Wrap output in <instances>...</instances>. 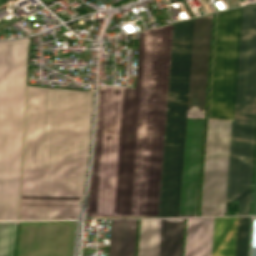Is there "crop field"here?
I'll use <instances>...</instances> for the list:
<instances>
[{"mask_svg": "<svg viewBox=\"0 0 256 256\" xmlns=\"http://www.w3.org/2000/svg\"><path fill=\"white\" fill-rule=\"evenodd\" d=\"M173 24L139 32L135 88L99 86L85 217L158 215Z\"/></svg>", "mask_w": 256, "mask_h": 256, "instance_id": "obj_1", "label": "crop field"}, {"mask_svg": "<svg viewBox=\"0 0 256 256\" xmlns=\"http://www.w3.org/2000/svg\"><path fill=\"white\" fill-rule=\"evenodd\" d=\"M242 7L217 13L209 117L233 119ZM231 121L208 120L201 216L224 215ZM256 133V4L243 7L225 215H249Z\"/></svg>", "mask_w": 256, "mask_h": 256, "instance_id": "obj_2", "label": "crop field"}, {"mask_svg": "<svg viewBox=\"0 0 256 256\" xmlns=\"http://www.w3.org/2000/svg\"><path fill=\"white\" fill-rule=\"evenodd\" d=\"M92 104L93 92L27 86L19 220L76 219Z\"/></svg>", "mask_w": 256, "mask_h": 256, "instance_id": "obj_3", "label": "crop field"}, {"mask_svg": "<svg viewBox=\"0 0 256 256\" xmlns=\"http://www.w3.org/2000/svg\"><path fill=\"white\" fill-rule=\"evenodd\" d=\"M212 15L176 24L165 135L159 217H178L186 111L203 118ZM187 118L179 217L196 216L203 119Z\"/></svg>", "mask_w": 256, "mask_h": 256, "instance_id": "obj_4", "label": "crop field"}, {"mask_svg": "<svg viewBox=\"0 0 256 256\" xmlns=\"http://www.w3.org/2000/svg\"><path fill=\"white\" fill-rule=\"evenodd\" d=\"M29 43H0V220H17Z\"/></svg>", "mask_w": 256, "mask_h": 256, "instance_id": "obj_5", "label": "crop field"}, {"mask_svg": "<svg viewBox=\"0 0 256 256\" xmlns=\"http://www.w3.org/2000/svg\"><path fill=\"white\" fill-rule=\"evenodd\" d=\"M238 217L190 218L187 256H235Z\"/></svg>", "mask_w": 256, "mask_h": 256, "instance_id": "obj_6", "label": "crop field"}, {"mask_svg": "<svg viewBox=\"0 0 256 256\" xmlns=\"http://www.w3.org/2000/svg\"><path fill=\"white\" fill-rule=\"evenodd\" d=\"M74 223H22L17 256H70Z\"/></svg>", "mask_w": 256, "mask_h": 256, "instance_id": "obj_7", "label": "crop field"}, {"mask_svg": "<svg viewBox=\"0 0 256 256\" xmlns=\"http://www.w3.org/2000/svg\"><path fill=\"white\" fill-rule=\"evenodd\" d=\"M184 218L141 219L138 256H181Z\"/></svg>", "mask_w": 256, "mask_h": 256, "instance_id": "obj_8", "label": "crop field"}, {"mask_svg": "<svg viewBox=\"0 0 256 256\" xmlns=\"http://www.w3.org/2000/svg\"><path fill=\"white\" fill-rule=\"evenodd\" d=\"M137 219L111 220L109 256H134Z\"/></svg>", "mask_w": 256, "mask_h": 256, "instance_id": "obj_9", "label": "crop field"}, {"mask_svg": "<svg viewBox=\"0 0 256 256\" xmlns=\"http://www.w3.org/2000/svg\"><path fill=\"white\" fill-rule=\"evenodd\" d=\"M18 222L0 223V256H13Z\"/></svg>", "mask_w": 256, "mask_h": 256, "instance_id": "obj_10", "label": "crop field"}, {"mask_svg": "<svg viewBox=\"0 0 256 256\" xmlns=\"http://www.w3.org/2000/svg\"><path fill=\"white\" fill-rule=\"evenodd\" d=\"M249 217H239L236 256H246Z\"/></svg>", "mask_w": 256, "mask_h": 256, "instance_id": "obj_11", "label": "crop field"}, {"mask_svg": "<svg viewBox=\"0 0 256 256\" xmlns=\"http://www.w3.org/2000/svg\"><path fill=\"white\" fill-rule=\"evenodd\" d=\"M252 215H256V176H255V187H254V198H253Z\"/></svg>", "mask_w": 256, "mask_h": 256, "instance_id": "obj_12", "label": "crop field"}]
</instances>
